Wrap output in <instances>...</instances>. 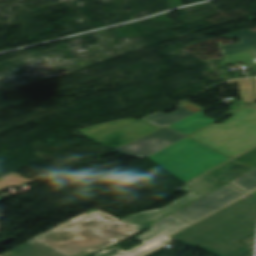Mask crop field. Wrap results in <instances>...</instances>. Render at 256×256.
Listing matches in <instances>:
<instances>
[{
  "label": "crop field",
  "instance_id": "4a817a6b",
  "mask_svg": "<svg viewBox=\"0 0 256 256\" xmlns=\"http://www.w3.org/2000/svg\"><path fill=\"white\" fill-rule=\"evenodd\" d=\"M229 84H238L240 88V96L247 103L254 102L253 87L251 79L233 80L227 82Z\"/></svg>",
  "mask_w": 256,
  "mask_h": 256
},
{
  "label": "crop field",
  "instance_id": "ac0d7876",
  "mask_svg": "<svg viewBox=\"0 0 256 256\" xmlns=\"http://www.w3.org/2000/svg\"><path fill=\"white\" fill-rule=\"evenodd\" d=\"M137 232L139 230L100 211L79 216L32 240L69 255L82 249L89 253L104 249Z\"/></svg>",
  "mask_w": 256,
  "mask_h": 256
},
{
  "label": "crop field",
  "instance_id": "d1516ede",
  "mask_svg": "<svg viewBox=\"0 0 256 256\" xmlns=\"http://www.w3.org/2000/svg\"><path fill=\"white\" fill-rule=\"evenodd\" d=\"M223 38L239 37L241 39L240 44L222 46L219 42V46L223 53V56L250 50L256 58V32L250 30H244L241 32L222 36Z\"/></svg>",
  "mask_w": 256,
  "mask_h": 256
},
{
  "label": "crop field",
  "instance_id": "5a996713",
  "mask_svg": "<svg viewBox=\"0 0 256 256\" xmlns=\"http://www.w3.org/2000/svg\"><path fill=\"white\" fill-rule=\"evenodd\" d=\"M195 199L196 198L194 196L189 194L163 209L138 213V214L130 216L122 221L141 230L143 228L148 227L149 224L154 222L156 219L174 211L175 209H177Z\"/></svg>",
  "mask_w": 256,
  "mask_h": 256
},
{
  "label": "crop field",
  "instance_id": "3316defc",
  "mask_svg": "<svg viewBox=\"0 0 256 256\" xmlns=\"http://www.w3.org/2000/svg\"><path fill=\"white\" fill-rule=\"evenodd\" d=\"M88 254L82 250L69 256H81ZM1 256H67L39 241H29Z\"/></svg>",
  "mask_w": 256,
  "mask_h": 256
},
{
  "label": "crop field",
  "instance_id": "00972430",
  "mask_svg": "<svg viewBox=\"0 0 256 256\" xmlns=\"http://www.w3.org/2000/svg\"><path fill=\"white\" fill-rule=\"evenodd\" d=\"M3 200L1 197H0V201Z\"/></svg>",
  "mask_w": 256,
  "mask_h": 256
},
{
  "label": "crop field",
  "instance_id": "22f410ed",
  "mask_svg": "<svg viewBox=\"0 0 256 256\" xmlns=\"http://www.w3.org/2000/svg\"><path fill=\"white\" fill-rule=\"evenodd\" d=\"M203 114L204 112L201 111L168 127L180 131L188 136L215 121L213 119L202 116Z\"/></svg>",
  "mask_w": 256,
  "mask_h": 256
},
{
  "label": "crop field",
  "instance_id": "cbeb9de0",
  "mask_svg": "<svg viewBox=\"0 0 256 256\" xmlns=\"http://www.w3.org/2000/svg\"><path fill=\"white\" fill-rule=\"evenodd\" d=\"M179 110L174 112V113H171V114H164V113H158V114H154L146 119H143V120H146L150 123H153L155 125H158L162 128L166 127L167 125L175 122V121H178L182 118H185L187 116H190L194 113L178 106Z\"/></svg>",
  "mask_w": 256,
  "mask_h": 256
},
{
  "label": "crop field",
  "instance_id": "733c2abd",
  "mask_svg": "<svg viewBox=\"0 0 256 256\" xmlns=\"http://www.w3.org/2000/svg\"><path fill=\"white\" fill-rule=\"evenodd\" d=\"M243 191L249 193L256 189V169L229 182Z\"/></svg>",
  "mask_w": 256,
  "mask_h": 256
},
{
  "label": "crop field",
  "instance_id": "92a150f3",
  "mask_svg": "<svg viewBox=\"0 0 256 256\" xmlns=\"http://www.w3.org/2000/svg\"><path fill=\"white\" fill-rule=\"evenodd\" d=\"M252 241H253V234H250V235H248V236H246V237L237 241V242H239V243H241V244H243V245H245V246H247L251 249L250 251L245 252V253L241 254L240 256H247V255L251 254V252H252V247H251L252 246Z\"/></svg>",
  "mask_w": 256,
  "mask_h": 256
},
{
  "label": "crop field",
  "instance_id": "28ad6ade",
  "mask_svg": "<svg viewBox=\"0 0 256 256\" xmlns=\"http://www.w3.org/2000/svg\"><path fill=\"white\" fill-rule=\"evenodd\" d=\"M253 169L255 168L232 160L205 175L221 186Z\"/></svg>",
  "mask_w": 256,
  "mask_h": 256
},
{
  "label": "crop field",
  "instance_id": "d8731c3e",
  "mask_svg": "<svg viewBox=\"0 0 256 256\" xmlns=\"http://www.w3.org/2000/svg\"><path fill=\"white\" fill-rule=\"evenodd\" d=\"M186 135L168 127L144 136L114 152L128 156H148L182 138Z\"/></svg>",
  "mask_w": 256,
  "mask_h": 256
},
{
  "label": "crop field",
  "instance_id": "e52e79f7",
  "mask_svg": "<svg viewBox=\"0 0 256 256\" xmlns=\"http://www.w3.org/2000/svg\"><path fill=\"white\" fill-rule=\"evenodd\" d=\"M245 195L247 193L227 184L172 214L192 224Z\"/></svg>",
  "mask_w": 256,
  "mask_h": 256
},
{
  "label": "crop field",
  "instance_id": "214f88e0",
  "mask_svg": "<svg viewBox=\"0 0 256 256\" xmlns=\"http://www.w3.org/2000/svg\"><path fill=\"white\" fill-rule=\"evenodd\" d=\"M234 160H237L239 162L245 163L256 168V148L235 158Z\"/></svg>",
  "mask_w": 256,
  "mask_h": 256
},
{
  "label": "crop field",
  "instance_id": "dafd665d",
  "mask_svg": "<svg viewBox=\"0 0 256 256\" xmlns=\"http://www.w3.org/2000/svg\"><path fill=\"white\" fill-rule=\"evenodd\" d=\"M254 82H255V90H256V78L254 79Z\"/></svg>",
  "mask_w": 256,
  "mask_h": 256
},
{
  "label": "crop field",
  "instance_id": "dd49c442",
  "mask_svg": "<svg viewBox=\"0 0 256 256\" xmlns=\"http://www.w3.org/2000/svg\"><path fill=\"white\" fill-rule=\"evenodd\" d=\"M190 224L169 215L152 224L153 228L137 236L144 243L128 251L117 247L95 253V256H146L172 242L169 235Z\"/></svg>",
  "mask_w": 256,
  "mask_h": 256
},
{
  "label": "crop field",
  "instance_id": "8a807250",
  "mask_svg": "<svg viewBox=\"0 0 256 256\" xmlns=\"http://www.w3.org/2000/svg\"><path fill=\"white\" fill-rule=\"evenodd\" d=\"M255 220L256 197L252 196L225 207L172 238L217 256H238L249 249L235 241L254 232Z\"/></svg>",
  "mask_w": 256,
  "mask_h": 256
},
{
  "label": "crop field",
  "instance_id": "bc2a9ffb",
  "mask_svg": "<svg viewBox=\"0 0 256 256\" xmlns=\"http://www.w3.org/2000/svg\"><path fill=\"white\" fill-rule=\"evenodd\" d=\"M224 58H225V60L220 63V68L223 66L232 64L234 62H237L239 60H242V62L246 65L255 64V62H256V59L253 57V55L250 53V51L226 56Z\"/></svg>",
  "mask_w": 256,
  "mask_h": 256
},
{
  "label": "crop field",
  "instance_id": "34b2d1b8",
  "mask_svg": "<svg viewBox=\"0 0 256 256\" xmlns=\"http://www.w3.org/2000/svg\"><path fill=\"white\" fill-rule=\"evenodd\" d=\"M230 107L232 110L225 114L233 118L220 125L213 123L189 137L232 158L256 146V104L248 106L241 100Z\"/></svg>",
  "mask_w": 256,
  "mask_h": 256
},
{
  "label": "crop field",
  "instance_id": "412701ff",
  "mask_svg": "<svg viewBox=\"0 0 256 256\" xmlns=\"http://www.w3.org/2000/svg\"><path fill=\"white\" fill-rule=\"evenodd\" d=\"M148 157L183 182L230 159L189 137Z\"/></svg>",
  "mask_w": 256,
  "mask_h": 256
},
{
  "label": "crop field",
  "instance_id": "d9b57169",
  "mask_svg": "<svg viewBox=\"0 0 256 256\" xmlns=\"http://www.w3.org/2000/svg\"><path fill=\"white\" fill-rule=\"evenodd\" d=\"M46 175H42L40 177H37L35 179L32 180H26L24 178H22L20 175L12 173L8 176L2 177L0 178V192L2 189L4 188H10L12 186L19 188L21 186H24L26 184H29L31 182H34L38 179H41L43 177H45Z\"/></svg>",
  "mask_w": 256,
  "mask_h": 256
},
{
  "label": "crop field",
  "instance_id": "5142ce71",
  "mask_svg": "<svg viewBox=\"0 0 256 256\" xmlns=\"http://www.w3.org/2000/svg\"><path fill=\"white\" fill-rule=\"evenodd\" d=\"M183 188L198 198V197L218 188V186H216L214 183H212L206 177L202 176V177L196 179L195 181L189 183L188 185H186Z\"/></svg>",
  "mask_w": 256,
  "mask_h": 256
},
{
  "label": "crop field",
  "instance_id": "f4fd0767",
  "mask_svg": "<svg viewBox=\"0 0 256 256\" xmlns=\"http://www.w3.org/2000/svg\"><path fill=\"white\" fill-rule=\"evenodd\" d=\"M160 127L143 120L122 119L78 130L87 139L116 150Z\"/></svg>",
  "mask_w": 256,
  "mask_h": 256
}]
</instances>
